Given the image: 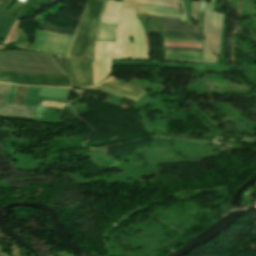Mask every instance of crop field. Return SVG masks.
<instances>
[{
	"label": "crop field",
	"instance_id": "8a807250",
	"mask_svg": "<svg viewBox=\"0 0 256 256\" xmlns=\"http://www.w3.org/2000/svg\"><path fill=\"white\" fill-rule=\"evenodd\" d=\"M138 4L179 9L177 0H107L101 23H117L112 59H148V37L135 18ZM130 36L134 43H129Z\"/></svg>",
	"mask_w": 256,
	"mask_h": 256
},
{
	"label": "crop field",
	"instance_id": "ac0d7876",
	"mask_svg": "<svg viewBox=\"0 0 256 256\" xmlns=\"http://www.w3.org/2000/svg\"><path fill=\"white\" fill-rule=\"evenodd\" d=\"M106 0H86L67 57L93 60L99 24ZM92 34V37L90 34Z\"/></svg>",
	"mask_w": 256,
	"mask_h": 256
},
{
	"label": "crop field",
	"instance_id": "34b2d1b8",
	"mask_svg": "<svg viewBox=\"0 0 256 256\" xmlns=\"http://www.w3.org/2000/svg\"><path fill=\"white\" fill-rule=\"evenodd\" d=\"M54 61L56 60L51 56L40 53L25 51L3 52L0 53V70L68 76Z\"/></svg>",
	"mask_w": 256,
	"mask_h": 256
},
{
	"label": "crop field",
	"instance_id": "412701ff",
	"mask_svg": "<svg viewBox=\"0 0 256 256\" xmlns=\"http://www.w3.org/2000/svg\"><path fill=\"white\" fill-rule=\"evenodd\" d=\"M0 81L24 85H45L52 87H69V77L46 74L16 73L0 71Z\"/></svg>",
	"mask_w": 256,
	"mask_h": 256
},
{
	"label": "crop field",
	"instance_id": "f4fd0767",
	"mask_svg": "<svg viewBox=\"0 0 256 256\" xmlns=\"http://www.w3.org/2000/svg\"><path fill=\"white\" fill-rule=\"evenodd\" d=\"M89 89L123 97L134 102H136L146 92L138 86L124 83L112 76Z\"/></svg>",
	"mask_w": 256,
	"mask_h": 256
},
{
	"label": "crop field",
	"instance_id": "dd49c442",
	"mask_svg": "<svg viewBox=\"0 0 256 256\" xmlns=\"http://www.w3.org/2000/svg\"><path fill=\"white\" fill-rule=\"evenodd\" d=\"M213 4L214 0L206 3L203 31L206 35L205 45L219 53L223 15L213 11Z\"/></svg>",
	"mask_w": 256,
	"mask_h": 256
},
{
	"label": "crop field",
	"instance_id": "e52e79f7",
	"mask_svg": "<svg viewBox=\"0 0 256 256\" xmlns=\"http://www.w3.org/2000/svg\"><path fill=\"white\" fill-rule=\"evenodd\" d=\"M114 43L97 42L93 66L94 84L103 80L112 67L111 57Z\"/></svg>",
	"mask_w": 256,
	"mask_h": 256
},
{
	"label": "crop field",
	"instance_id": "d8731c3e",
	"mask_svg": "<svg viewBox=\"0 0 256 256\" xmlns=\"http://www.w3.org/2000/svg\"><path fill=\"white\" fill-rule=\"evenodd\" d=\"M71 75L72 87H83L92 84V68L90 61L65 59Z\"/></svg>",
	"mask_w": 256,
	"mask_h": 256
},
{
	"label": "crop field",
	"instance_id": "5a996713",
	"mask_svg": "<svg viewBox=\"0 0 256 256\" xmlns=\"http://www.w3.org/2000/svg\"><path fill=\"white\" fill-rule=\"evenodd\" d=\"M10 85L0 83V116L33 120V107L6 105Z\"/></svg>",
	"mask_w": 256,
	"mask_h": 256
},
{
	"label": "crop field",
	"instance_id": "3316defc",
	"mask_svg": "<svg viewBox=\"0 0 256 256\" xmlns=\"http://www.w3.org/2000/svg\"><path fill=\"white\" fill-rule=\"evenodd\" d=\"M39 89L40 88H34V87H29L28 88V92H27V95L25 97L24 106H41V100L60 101V102H65L66 101V100H62V99L37 97Z\"/></svg>",
	"mask_w": 256,
	"mask_h": 256
},
{
	"label": "crop field",
	"instance_id": "28ad6ade",
	"mask_svg": "<svg viewBox=\"0 0 256 256\" xmlns=\"http://www.w3.org/2000/svg\"><path fill=\"white\" fill-rule=\"evenodd\" d=\"M164 38L202 40V34L190 32L164 31Z\"/></svg>",
	"mask_w": 256,
	"mask_h": 256
},
{
	"label": "crop field",
	"instance_id": "d1516ede",
	"mask_svg": "<svg viewBox=\"0 0 256 256\" xmlns=\"http://www.w3.org/2000/svg\"><path fill=\"white\" fill-rule=\"evenodd\" d=\"M69 89L41 88L38 96L67 98Z\"/></svg>",
	"mask_w": 256,
	"mask_h": 256
},
{
	"label": "crop field",
	"instance_id": "22f410ed",
	"mask_svg": "<svg viewBox=\"0 0 256 256\" xmlns=\"http://www.w3.org/2000/svg\"><path fill=\"white\" fill-rule=\"evenodd\" d=\"M40 29L51 31V32H56V33L70 34V35H73V32L75 30L72 28L58 27V26H52V25H48V24H45Z\"/></svg>",
	"mask_w": 256,
	"mask_h": 256
},
{
	"label": "crop field",
	"instance_id": "cbeb9de0",
	"mask_svg": "<svg viewBox=\"0 0 256 256\" xmlns=\"http://www.w3.org/2000/svg\"><path fill=\"white\" fill-rule=\"evenodd\" d=\"M28 87L18 86L15 92L13 105L23 106L24 97L26 95Z\"/></svg>",
	"mask_w": 256,
	"mask_h": 256
},
{
	"label": "crop field",
	"instance_id": "5142ce71",
	"mask_svg": "<svg viewBox=\"0 0 256 256\" xmlns=\"http://www.w3.org/2000/svg\"><path fill=\"white\" fill-rule=\"evenodd\" d=\"M164 29L199 32L196 28L179 26V23L164 21Z\"/></svg>",
	"mask_w": 256,
	"mask_h": 256
},
{
	"label": "crop field",
	"instance_id": "d9b57169",
	"mask_svg": "<svg viewBox=\"0 0 256 256\" xmlns=\"http://www.w3.org/2000/svg\"><path fill=\"white\" fill-rule=\"evenodd\" d=\"M203 62L217 63V57L212 55V50L204 46Z\"/></svg>",
	"mask_w": 256,
	"mask_h": 256
},
{
	"label": "crop field",
	"instance_id": "733c2abd",
	"mask_svg": "<svg viewBox=\"0 0 256 256\" xmlns=\"http://www.w3.org/2000/svg\"><path fill=\"white\" fill-rule=\"evenodd\" d=\"M204 7L205 3L204 0L199 2V12H198V18H197V27H202L203 23V15H204Z\"/></svg>",
	"mask_w": 256,
	"mask_h": 256
},
{
	"label": "crop field",
	"instance_id": "4a817a6b",
	"mask_svg": "<svg viewBox=\"0 0 256 256\" xmlns=\"http://www.w3.org/2000/svg\"><path fill=\"white\" fill-rule=\"evenodd\" d=\"M17 86L11 85L10 92L8 94L7 104L12 105L14 92Z\"/></svg>",
	"mask_w": 256,
	"mask_h": 256
},
{
	"label": "crop field",
	"instance_id": "bc2a9ffb",
	"mask_svg": "<svg viewBox=\"0 0 256 256\" xmlns=\"http://www.w3.org/2000/svg\"><path fill=\"white\" fill-rule=\"evenodd\" d=\"M137 15L138 16H142V17H147V18L167 20V21H174V22H179V20H180V19H175V18L154 17V16H147V15H140V14H137Z\"/></svg>",
	"mask_w": 256,
	"mask_h": 256
},
{
	"label": "crop field",
	"instance_id": "214f88e0",
	"mask_svg": "<svg viewBox=\"0 0 256 256\" xmlns=\"http://www.w3.org/2000/svg\"><path fill=\"white\" fill-rule=\"evenodd\" d=\"M184 5H185L187 20L190 22V2L187 0H184Z\"/></svg>",
	"mask_w": 256,
	"mask_h": 256
},
{
	"label": "crop field",
	"instance_id": "92a150f3",
	"mask_svg": "<svg viewBox=\"0 0 256 256\" xmlns=\"http://www.w3.org/2000/svg\"><path fill=\"white\" fill-rule=\"evenodd\" d=\"M197 6H198V3L192 2V14H191V17H193L194 19H196V15H197Z\"/></svg>",
	"mask_w": 256,
	"mask_h": 256
},
{
	"label": "crop field",
	"instance_id": "dafd665d",
	"mask_svg": "<svg viewBox=\"0 0 256 256\" xmlns=\"http://www.w3.org/2000/svg\"><path fill=\"white\" fill-rule=\"evenodd\" d=\"M164 60L201 62V60H192V59H174V58H165Z\"/></svg>",
	"mask_w": 256,
	"mask_h": 256
},
{
	"label": "crop field",
	"instance_id": "00972430",
	"mask_svg": "<svg viewBox=\"0 0 256 256\" xmlns=\"http://www.w3.org/2000/svg\"><path fill=\"white\" fill-rule=\"evenodd\" d=\"M165 49H181V50H195V51H201V49H192V48H174V47H165Z\"/></svg>",
	"mask_w": 256,
	"mask_h": 256
},
{
	"label": "crop field",
	"instance_id": "a9b5d70f",
	"mask_svg": "<svg viewBox=\"0 0 256 256\" xmlns=\"http://www.w3.org/2000/svg\"><path fill=\"white\" fill-rule=\"evenodd\" d=\"M57 58L60 60L62 68L65 70L66 68L64 65V58H60V57H57Z\"/></svg>",
	"mask_w": 256,
	"mask_h": 256
}]
</instances>
